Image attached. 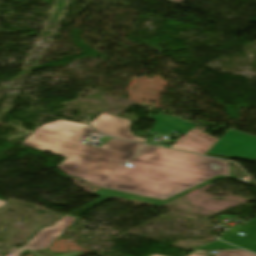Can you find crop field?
Instances as JSON below:
<instances>
[{
	"instance_id": "13",
	"label": "crop field",
	"mask_w": 256,
	"mask_h": 256,
	"mask_svg": "<svg viewBox=\"0 0 256 256\" xmlns=\"http://www.w3.org/2000/svg\"><path fill=\"white\" fill-rule=\"evenodd\" d=\"M5 204H6V202L0 201V208H1L3 205H5Z\"/></svg>"
},
{
	"instance_id": "3",
	"label": "crop field",
	"mask_w": 256,
	"mask_h": 256,
	"mask_svg": "<svg viewBox=\"0 0 256 256\" xmlns=\"http://www.w3.org/2000/svg\"><path fill=\"white\" fill-rule=\"evenodd\" d=\"M77 218L64 215L52 228L43 227L26 245L25 248L36 256H75L80 252L70 255H55L44 251L54 242Z\"/></svg>"
},
{
	"instance_id": "7",
	"label": "crop field",
	"mask_w": 256,
	"mask_h": 256,
	"mask_svg": "<svg viewBox=\"0 0 256 256\" xmlns=\"http://www.w3.org/2000/svg\"><path fill=\"white\" fill-rule=\"evenodd\" d=\"M218 178L226 179V177H224V176L215 177V178H213V179H211V180H209V181H207V182H205V183H202V184H200V185H198V186H196V187H194V188H191V189H189V190H187V191H185V192H182V193H180V194H178V195H176V196H174V197H171V198H169V199H167V200H165V201H160V200H154V199H148V198L137 197V196L128 195V194H123V193L114 192V191H109V190H105V189H101V188H100L94 195H96V196H101V197H107V198H111V197H113V196H117V197H121V198H126V199L135 200V201L146 202V203H152V204H155V206H159V205H161V204H163V203H165V202H168V201H170V200H172V199H175V198H177V197H179V196H182V195H184V194H186V193H188V192H190V191H192V190H194V189H196V188H198V187H200V186H202V185H204V184H207V183H209V182H211V181H214V180H216V179H218ZM204 186H205V185H204ZM202 187H203V186H202Z\"/></svg>"
},
{
	"instance_id": "2",
	"label": "crop field",
	"mask_w": 256,
	"mask_h": 256,
	"mask_svg": "<svg viewBox=\"0 0 256 256\" xmlns=\"http://www.w3.org/2000/svg\"><path fill=\"white\" fill-rule=\"evenodd\" d=\"M207 154L243 160L256 157V138L228 130Z\"/></svg>"
},
{
	"instance_id": "8",
	"label": "crop field",
	"mask_w": 256,
	"mask_h": 256,
	"mask_svg": "<svg viewBox=\"0 0 256 256\" xmlns=\"http://www.w3.org/2000/svg\"><path fill=\"white\" fill-rule=\"evenodd\" d=\"M199 249H239L237 247H234L232 245L226 244L224 242H221L219 240H215L213 242H210L208 244H205L203 246L198 247Z\"/></svg>"
},
{
	"instance_id": "10",
	"label": "crop field",
	"mask_w": 256,
	"mask_h": 256,
	"mask_svg": "<svg viewBox=\"0 0 256 256\" xmlns=\"http://www.w3.org/2000/svg\"><path fill=\"white\" fill-rule=\"evenodd\" d=\"M153 256H162V255H158V254H156V255H153ZM188 256H204V255H201V254H198V253H194V252H192L191 254H189Z\"/></svg>"
},
{
	"instance_id": "14",
	"label": "crop field",
	"mask_w": 256,
	"mask_h": 256,
	"mask_svg": "<svg viewBox=\"0 0 256 256\" xmlns=\"http://www.w3.org/2000/svg\"><path fill=\"white\" fill-rule=\"evenodd\" d=\"M24 250H26L25 248H22V249H20L19 251H17L18 253H20V252H22V251H24Z\"/></svg>"
},
{
	"instance_id": "5",
	"label": "crop field",
	"mask_w": 256,
	"mask_h": 256,
	"mask_svg": "<svg viewBox=\"0 0 256 256\" xmlns=\"http://www.w3.org/2000/svg\"><path fill=\"white\" fill-rule=\"evenodd\" d=\"M218 140L194 128L173 145V149L205 155Z\"/></svg>"
},
{
	"instance_id": "1",
	"label": "crop field",
	"mask_w": 256,
	"mask_h": 256,
	"mask_svg": "<svg viewBox=\"0 0 256 256\" xmlns=\"http://www.w3.org/2000/svg\"><path fill=\"white\" fill-rule=\"evenodd\" d=\"M95 131L90 126L58 120L37 128L22 145L66 158L57 168L65 174L105 187L160 199L217 174L230 175L229 162L112 138L100 148L80 144Z\"/></svg>"
},
{
	"instance_id": "15",
	"label": "crop field",
	"mask_w": 256,
	"mask_h": 256,
	"mask_svg": "<svg viewBox=\"0 0 256 256\" xmlns=\"http://www.w3.org/2000/svg\"><path fill=\"white\" fill-rule=\"evenodd\" d=\"M173 1H175V2L179 3V2H180V1H182V0H173Z\"/></svg>"
},
{
	"instance_id": "6",
	"label": "crop field",
	"mask_w": 256,
	"mask_h": 256,
	"mask_svg": "<svg viewBox=\"0 0 256 256\" xmlns=\"http://www.w3.org/2000/svg\"><path fill=\"white\" fill-rule=\"evenodd\" d=\"M237 231L247 234V238L242 237L233 232L227 231L221 236V239L229 243L235 244L242 248L256 252V218L245 226L237 229Z\"/></svg>"
},
{
	"instance_id": "4",
	"label": "crop field",
	"mask_w": 256,
	"mask_h": 256,
	"mask_svg": "<svg viewBox=\"0 0 256 256\" xmlns=\"http://www.w3.org/2000/svg\"><path fill=\"white\" fill-rule=\"evenodd\" d=\"M131 121L101 114L91 125L103 135L146 143V139L134 137L129 130Z\"/></svg>"
},
{
	"instance_id": "9",
	"label": "crop field",
	"mask_w": 256,
	"mask_h": 256,
	"mask_svg": "<svg viewBox=\"0 0 256 256\" xmlns=\"http://www.w3.org/2000/svg\"><path fill=\"white\" fill-rule=\"evenodd\" d=\"M215 256H256L247 251H220Z\"/></svg>"
},
{
	"instance_id": "11",
	"label": "crop field",
	"mask_w": 256,
	"mask_h": 256,
	"mask_svg": "<svg viewBox=\"0 0 256 256\" xmlns=\"http://www.w3.org/2000/svg\"><path fill=\"white\" fill-rule=\"evenodd\" d=\"M7 256H20V254L14 252V253H12V254H10V255H7Z\"/></svg>"
},
{
	"instance_id": "12",
	"label": "crop field",
	"mask_w": 256,
	"mask_h": 256,
	"mask_svg": "<svg viewBox=\"0 0 256 256\" xmlns=\"http://www.w3.org/2000/svg\"><path fill=\"white\" fill-rule=\"evenodd\" d=\"M230 177H233V178H235V179H238V180L244 181V180L239 179V178H237V177H234V176H232V175H230ZM244 182H246V181H244ZM246 183H249V182H246ZM249 184H251V183H249Z\"/></svg>"
}]
</instances>
